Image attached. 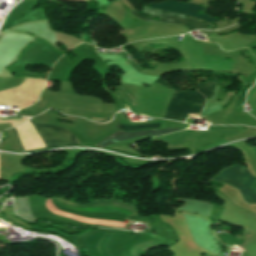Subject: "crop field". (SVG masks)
I'll use <instances>...</instances> for the list:
<instances>
[{
    "label": "crop field",
    "instance_id": "crop-field-9",
    "mask_svg": "<svg viewBox=\"0 0 256 256\" xmlns=\"http://www.w3.org/2000/svg\"><path fill=\"white\" fill-rule=\"evenodd\" d=\"M127 64H129L127 61H125Z\"/></svg>",
    "mask_w": 256,
    "mask_h": 256
},
{
    "label": "crop field",
    "instance_id": "crop-field-6",
    "mask_svg": "<svg viewBox=\"0 0 256 256\" xmlns=\"http://www.w3.org/2000/svg\"><path fill=\"white\" fill-rule=\"evenodd\" d=\"M142 240H154V238L152 237L151 234L130 236L126 240L124 247H123L124 255L125 256H130V255L131 256H140V253L143 251L160 247L155 241H142ZM140 241H142V242H140ZM137 242H140V243L132 246L133 244H135ZM106 247H107V245H106ZM129 248H130V255H129ZM107 251H108V249H107Z\"/></svg>",
    "mask_w": 256,
    "mask_h": 256
},
{
    "label": "crop field",
    "instance_id": "crop-field-3",
    "mask_svg": "<svg viewBox=\"0 0 256 256\" xmlns=\"http://www.w3.org/2000/svg\"><path fill=\"white\" fill-rule=\"evenodd\" d=\"M215 83H204L197 92L174 93L164 118L184 122L188 113L199 114L204 106L205 97H212ZM194 104V107H191ZM189 114L188 117L199 115Z\"/></svg>",
    "mask_w": 256,
    "mask_h": 256
},
{
    "label": "crop field",
    "instance_id": "crop-field-8",
    "mask_svg": "<svg viewBox=\"0 0 256 256\" xmlns=\"http://www.w3.org/2000/svg\"><path fill=\"white\" fill-rule=\"evenodd\" d=\"M160 124H149V125H119V129L135 130L143 128H159Z\"/></svg>",
    "mask_w": 256,
    "mask_h": 256
},
{
    "label": "crop field",
    "instance_id": "crop-field-5",
    "mask_svg": "<svg viewBox=\"0 0 256 256\" xmlns=\"http://www.w3.org/2000/svg\"><path fill=\"white\" fill-rule=\"evenodd\" d=\"M39 132L41 133L42 137L46 141L49 147L45 148H53V147H66V146H74L78 145V142L75 138V136L68 130L57 127V126H51V125H41V124H35ZM18 141L22 147V144L20 142V139L17 135V132L15 128H13ZM45 148H39V149H33V150H27L23 151L24 152H29V151H35V150H40V149H45Z\"/></svg>",
    "mask_w": 256,
    "mask_h": 256
},
{
    "label": "crop field",
    "instance_id": "crop-field-10",
    "mask_svg": "<svg viewBox=\"0 0 256 256\" xmlns=\"http://www.w3.org/2000/svg\"><path fill=\"white\" fill-rule=\"evenodd\" d=\"M92 119H95V118H92ZM98 120H101V119H98Z\"/></svg>",
    "mask_w": 256,
    "mask_h": 256
},
{
    "label": "crop field",
    "instance_id": "crop-field-7",
    "mask_svg": "<svg viewBox=\"0 0 256 256\" xmlns=\"http://www.w3.org/2000/svg\"><path fill=\"white\" fill-rule=\"evenodd\" d=\"M176 130H180V129L174 128V129H165V130H142V131L131 132V133L117 131L112 135L108 136L107 138H105L95 147H99L103 149L107 145L121 141V140L144 137V136H160Z\"/></svg>",
    "mask_w": 256,
    "mask_h": 256
},
{
    "label": "crop field",
    "instance_id": "crop-field-4",
    "mask_svg": "<svg viewBox=\"0 0 256 256\" xmlns=\"http://www.w3.org/2000/svg\"><path fill=\"white\" fill-rule=\"evenodd\" d=\"M213 179L237 187L245 202L256 204V188H250L256 179L245 167L241 165L229 167Z\"/></svg>",
    "mask_w": 256,
    "mask_h": 256
},
{
    "label": "crop field",
    "instance_id": "crop-field-1",
    "mask_svg": "<svg viewBox=\"0 0 256 256\" xmlns=\"http://www.w3.org/2000/svg\"><path fill=\"white\" fill-rule=\"evenodd\" d=\"M151 7L159 8L162 10H166L169 12L177 13L180 15L187 16L189 15L190 17L193 18H198L201 19L207 23H213L216 22L217 18H208L206 10L207 8L205 7H199L198 5L194 4H184L176 1H166L160 4H152ZM151 7H146L144 6L142 12L146 14H152L150 17H144L140 14L137 13L136 9L133 10L132 13L134 16L141 20H145L148 22H163V23H173V24H182L189 26L194 29H211L207 27V24L201 22V21H196L194 19H186L184 16L176 15L173 13H169L166 11L158 10L155 8ZM202 10L203 15L199 14L198 11ZM159 16V21L157 20H152V18Z\"/></svg>",
    "mask_w": 256,
    "mask_h": 256
},
{
    "label": "crop field",
    "instance_id": "crop-field-2",
    "mask_svg": "<svg viewBox=\"0 0 256 256\" xmlns=\"http://www.w3.org/2000/svg\"><path fill=\"white\" fill-rule=\"evenodd\" d=\"M53 199V198H51ZM51 199H47L45 206L47 208V210H49L51 213L55 214V215H59V216H63L66 218H70V219H74L77 220L81 223H87V224H96V225H105V226H115V227H123L126 228L127 224L126 223H120V222H111V221H103V220H94V219H87V218H83V217H79V216H75V215H71L65 212H61L59 210H57ZM58 199V198H55ZM53 199L54 201H56L57 203L72 208V209H76V210H81V211H98V212H107V213H114V214H120V215H125V216H130L132 215H138L139 214V210L137 207H135L134 205L131 204H127L124 203L122 201H118V200H114V199H104V198H99L93 202H90L88 204H74L71 202H68L66 200L63 199H58L66 204L69 205H74V206H80V207H112V208H118V209H122V210H118V209H111V208H80V207H73V206H69L66 204H63L57 200ZM136 220V219H135Z\"/></svg>",
    "mask_w": 256,
    "mask_h": 256
}]
</instances>
